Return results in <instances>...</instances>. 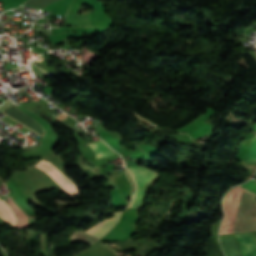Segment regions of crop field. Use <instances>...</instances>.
Listing matches in <instances>:
<instances>
[{"label":"crop field","instance_id":"8a807250","mask_svg":"<svg viewBox=\"0 0 256 256\" xmlns=\"http://www.w3.org/2000/svg\"><path fill=\"white\" fill-rule=\"evenodd\" d=\"M256 231V195L243 191L233 233Z\"/></svg>","mask_w":256,"mask_h":256},{"label":"crop field","instance_id":"ac0d7876","mask_svg":"<svg viewBox=\"0 0 256 256\" xmlns=\"http://www.w3.org/2000/svg\"><path fill=\"white\" fill-rule=\"evenodd\" d=\"M126 169L135 184V194H133L128 208H138L144 185L157 174L141 167H126Z\"/></svg>","mask_w":256,"mask_h":256},{"label":"crop field","instance_id":"34b2d1b8","mask_svg":"<svg viewBox=\"0 0 256 256\" xmlns=\"http://www.w3.org/2000/svg\"><path fill=\"white\" fill-rule=\"evenodd\" d=\"M121 212H117L114 213L113 217L110 219H106L104 222H99L96 225L92 226L91 228H89L88 230H86L85 232L100 238L101 236H103L107 231H109L112 226L117 222L119 215Z\"/></svg>","mask_w":256,"mask_h":256},{"label":"crop field","instance_id":"412701ff","mask_svg":"<svg viewBox=\"0 0 256 256\" xmlns=\"http://www.w3.org/2000/svg\"><path fill=\"white\" fill-rule=\"evenodd\" d=\"M245 256H256V240L253 233L238 234Z\"/></svg>","mask_w":256,"mask_h":256},{"label":"crop field","instance_id":"f4fd0767","mask_svg":"<svg viewBox=\"0 0 256 256\" xmlns=\"http://www.w3.org/2000/svg\"><path fill=\"white\" fill-rule=\"evenodd\" d=\"M8 204L10 207L15 211L16 215L18 216L19 226L18 228H24L31 223V219L26 217L25 213L21 210V208L14 202L11 196L6 197Z\"/></svg>","mask_w":256,"mask_h":256},{"label":"crop field","instance_id":"dd49c442","mask_svg":"<svg viewBox=\"0 0 256 256\" xmlns=\"http://www.w3.org/2000/svg\"><path fill=\"white\" fill-rule=\"evenodd\" d=\"M91 148L95 151V159L105 158L115 155L111 150H109L103 142L97 140L95 142L89 143Z\"/></svg>","mask_w":256,"mask_h":256},{"label":"crop field","instance_id":"e52e79f7","mask_svg":"<svg viewBox=\"0 0 256 256\" xmlns=\"http://www.w3.org/2000/svg\"><path fill=\"white\" fill-rule=\"evenodd\" d=\"M247 160L256 161V135L251 138V148Z\"/></svg>","mask_w":256,"mask_h":256},{"label":"crop field","instance_id":"d8731c3e","mask_svg":"<svg viewBox=\"0 0 256 256\" xmlns=\"http://www.w3.org/2000/svg\"><path fill=\"white\" fill-rule=\"evenodd\" d=\"M241 186L256 193V181H254V180H251L245 184H242Z\"/></svg>","mask_w":256,"mask_h":256},{"label":"crop field","instance_id":"5a996713","mask_svg":"<svg viewBox=\"0 0 256 256\" xmlns=\"http://www.w3.org/2000/svg\"><path fill=\"white\" fill-rule=\"evenodd\" d=\"M253 130H255V131H256V124L254 125Z\"/></svg>","mask_w":256,"mask_h":256}]
</instances>
